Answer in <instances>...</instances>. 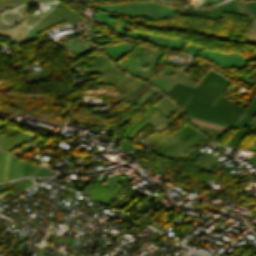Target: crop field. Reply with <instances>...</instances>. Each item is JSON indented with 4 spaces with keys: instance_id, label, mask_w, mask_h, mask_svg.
<instances>
[{
    "instance_id": "obj_1",
    "label": "crop field",
    "mask_w": 256,
    "mask_h": 256,
    "mask_svg": "<svg viewBox=\"0 0 256 256\" xmlns=\"http://www.w3.org/2000/svg\"><path fill=\"white\" fill-rule=\"evenodd\" d=\"M200 82L207 85L219 94H223L229 85L228 81L210 71ZM203 84L198 82L195 87H192L177 82L167 91V94L170 95L175 101H177L182 107L189 99V97L193 95L195 98L211 106L214 105L239 120L245 109L234 104L223 95L217 94ZM193 96H191V98L183 107V110L188 112L193 117L230 126H235L237 123V120L230 117L223 111L217 109L214 106L211 108V106L195 99ZM255 110L256 97L248 109L245 110L242 117L236 124V127L243 128Z\"/></svg>"
},
{
    "instance_id": "obj_2",
    "label": "crop field",
    "mask_w": 256,
    "mask_h": 256,
    "mask_svg": "<svg viewBox=\"0 0 256 256\" xmlns=\"http://www.w3.org/2000/svg\"><path fill=\"white\" fill-rule=\"evenodd\" d=\"M190 129V127L187 125L182 131H180V132H178L175 136H173V137H171L164 145H162L155 153L158 155L159 154V152L164 148V147H166L170 142H172L173 140H175L176 138H178L179 136H181V135H183L187 130H189ZM192 131H194V129H190L188 132H186L183 136H181L180 138H178V139H176L175 141H173L172 143H170L166 148H168L169 146H171L172 144H174L176 141H178V140H181L182 138H184V137H186L189 133H191ZM197 131L195 130L194 132H192L190 135H188L186 138H184V139H182L180 142L181 143H183L184 141H186L189 137H191L192 135H194L195 133H196ZM198 134H200L199 132L198 133H196L194 136H192L191 138H189L186 142H184L183 144H181V146L183 147L184 145H186L188 142H190L195 136H197ZM201 135V134H200ZM200 135H198L197 137H195L191 142H193L195 139H197ZM203 137V135L201 136V137H199L197 140H195L193 143H189V144H187V145H189V146H185V147H180V148H182V149H184V150H182V149H180L179 147H177V146H179L180 144H178L177 146H175L174 148H176V149H174V148H172L171 150H173L170 154H169V152L171 151V150H169L168 151V153L166 154V156H167V158H170L171 157V155H172V153L174 152V151H176V150H178V149H180V150H178V151H176V152H174L173 153V155H172V157L173 156H175L178 152H180L181 150V152L180 153H178L175 157H173V159H175L178 155H180L181 153H183L185 150H187L190 146H192L194 143H196L198 140H200L201 138ZM199 142V141H198ZM166 148H164L161 152H160V154H159V156L162 154V152L163 151H165V149ZM165 156V155H164ZM165 156V157H166ZM171 157V158H172Z\"/></svg>"
},
{
    "instance_id": "obj_3",
    "label": "crop field",
    "mask_w": 256,
    "mask_h": 256,
    "mask_svg": "<svg viewBox=\"0 0 256 256\" xmlns=\"http://www.w3.org/2000/svg\"><path fill=\"white\" fill-rule=\"evenodd\" d=\"M221 10L240 12V10L237 8V6L234 4V2L232 0L222 6H219V7L210 9V10L184 9V10H181L180 13L195 14V15H199V16H209L210 15V17H217L220 15Z\"/></svg>"
},
{
    "instance_id": "obj_4",
    "label": "crop field",
    "mask_w": 256,
    "mask_h": 256,
    "mask_svg": "<svg viewBox=\"0 0 256 256\" xmlns=\"http://www.w3.org/2000/svg\"><path fill=\"white\" fill-rule=\"evenodd\" d=\"M115 69L109 71V72H106V73H103L102 77H100L98 80H100L101 78H103L104 76L108 75L109 73H111L112 71H114ZM116 71H114L113 73L109 74L108 76H106L105 78L101 79L100 81L98 82H102L104 81L105 79H107L109 76H111L112 74H114ZM123 75L118 71L117 73H115L114 75H112L110 78H108L107 80H105L104 82H102L103 84H115ZM127 77V75H124L115 85L114 87L116 88L125 78ZM132 77L128 76L118 87L117 89H121ZM134 80V78H132L120 91L122 92L132 81Z\"/></svg>"
},
{
    "instance_id": "obj_5",
    "label": "crop field",
    "mask_w": 256,
    "mask_h": 256,
    "mask_svg": "<svg viewBox=\"0 0 256 256\" xmlns=\"http://www.w3.org/2000/svg\"><path fill=\"white\" fill-rule=\"evenodd\" d=\"M13 158H14V157L11 156V157H10V161H9L8 181L11 180V167H12V163H13ZM15 165H16V162L13 163V167H12V179L15 178ZM19 165H20V160H18L17 165H16V178L18 177ZM25 165H26V163H25ZM23 166H24V162L21 161L19 177L22 176V173H23ZM30 166H31V165L27 164L25 175L28 174V171H29V169H30ZM31 167H32V166H31ZM24 172H25V166H24ZM29 172H30V171H29ZM23 176H24V174H23Z\"/></svg>"
},
{
    "instance_id": "obj_6",
    "label": "crop field",
    "mask_w": 256,
    "mask_h": 256,
    "mask_svg": "<svg viewBox=\"0 0 256 256\" xmlns=\"http://www.w3.org/2000/svg\"><path fill=\"white\" fill-rule=\"evenodd\" d=\"M173 105V104L169 99H167L165 96L157 103L155 104L153 107H155L157 110H159L161 113H165L166 111H168ZM176 106V105H175ZM173 106L167 113H165L164 115H168L171 110L175 107Z\"/></svg>"
},
{
    "instance_id": "obj_7",
    "label": "crop field",
    "mask_w": 256,
    "mask_h": 256,
    "mask_svg": "<svg viewBox=\"0 0 256 256\" xmlns=\"http://www.w3.org/2000/svg\"><path fill=\"white\" fill-rule=\"evenodd\" d=\"M192 125H194L196 128H198L201 132L203 131L205 134H207L212 139L218 140L220 138V136L223 134V131L207 128V127L196 125V124H192Z\"/></svg>"
},
{
    "instance_id": "obj_8",
    "label": "crop field",
    "mask_w": 256,
    "mask_h": 256,
    "mask_svg": "<svg viewBox=\"0 0 256 256\" xmlns=\"http://www.w3.org/2000/svg\"><path fill=\"white\" fill-rule=\"evenodd\" d=\"M236 4L238 5L241 12H243L247 15H251V16L256 17V15H255L256 14V2L250 3V5H251L252 9L254 10L255 14H254L253 10L251 9V7L248 3L240 4V3L236 2Z\"/></svg>"
},
{
    "instance_id": "obj_9",
    "label": "crop field",
    "mask_w": 256,
    "mask_h": 256,
    "mask_svg": "<svg viewBox=\"0 0 256 256\" xmlns=\"http://www.w3.org/2000/svg\"><path fill=\"white\" fill-rule=\"evenodd\" d=\"M139 46L140 45H137L126 57H128L131 53H133ZM143 48L144 46H140L125 62H123L125 59H121L120 61H118L116 63L117 66L123 62L119 66L121 69H123Z\"/></svg>"
},
{
    "instance_id": "obj_10",
    "label": "crop field",
    "mask_w": 256,
    "mask_h": 256,
    "mask_svg": "<svg viewBox=\"0 0 256 256\" xmlns=\"http://www.w3.org/2000/svg\"><path fill=\"white\" fill-rule=\"evenodd\" d=\"M162 55V52L158 51L157 55L155 56L154 60L152 61L151 65L149 66L148 70L145 71V73L142 75V78L148 80L150 75L152 74V70L155 67V65L158 63L160 57Z\"/></svg>"
},
{
    "instance_id": "obj_11",
    "label": "crop field",
    "mask_w": 256,
    "mask_h": 256,
    "mask_svg": "<svg viewBox=\"0 0 256 256\" xmlns=\"http://www.w3.org/2000/svg\"><path fill=\"white\" fill-rule=\"evenodd\" d=\"M247 131L239 129L238 132L229 140L227 145L235 147L237 143L244 137Z\"/></svg>"
},
{
    "instance_id": "obj_12",
    "label": "crop field",
    "mask_w": 256,
    "mask_h": 256,
    "mask_svg": "<svg viewBox=\"0 0 256 256\" xmlns=\"http://www.w3.org/2000/svg\"><path fill=\"white\" fill-rule=\"evenodd\" d=\"M36 168H38L39 170L35 171ZM44 170H46L47 172H44ZM50 173L51 171L34 165L29 176H49Z\"/></svg>"
},
{
    "instance_id": "obj_13",
    "label": "crop field",
    "mask_w": 256,
    "mask_h": 256,
    "mask_svg": "<svg viewBox=\"0 0 256 256\" xmlns=\"http://www.w3.org/2000/svg\"><path fill=\"white\" fill-rule=\"evenodd\" d=\"M119 189H120V187H119ZM119 189H118V190H119ZM121 189H122V188H121ZM121 189H120V190H121ZM118 190H117V191H118ZM120 190H119V191H120ZM112 191H113V189H108V190H107L103 195H101L96 201L101 202V201L104 200L105 197H106L109 193H111ZM114 191H115V190H114ZM114 191H113V192H114ZM117 191H115V193H116ZM119 191H118V192H119ZM113 192H112V193H113ZM118 192H117V193H118ZM112 193H111V194H112ZM115 193H114V194H115ZM117 193H116V194H117ZM111 194H110V195H111ZM114 194H112L111 196L108 195V196L106 197V199H107L109 196H110V197H109L107 200L105 199V200H106V201L104 200L105 202L102 201V203L104 202V204H105ZM116 194H115V195H116ZM115 195H114V196H115Z\"/></svg>"
},
{
    "instance_id": "obj_14",
    "label": "crop field",
    "mask_w": 256,
    "mask_h": 256,
    "mask_svg": "<svg viewBox=\"0 0 256 256\" xmlns=\"http://www.w3.org/2000/svg\"><path fill=\"white\" fill-rule=\"evenodd\" d=\"M107 190V188L103 187L100 185V187L95 190L93 193H91L90 195H88L90 198L96 200L101 194H103L105 191Z\"/></svg>"
},
{
    "instance_id": "obj_15",
    "label": "crop field",
    "mask_w": 256,
    "mask_h": 256,
    "mask_svg": "<svg viewBox=\"0 0 256 256\" xmlns=\"http://www.w3.org/2000/svg\"><path fill=\"white\" fill-rule=\"evenodd\" d=\"M10 155L6 153L5 157V164H4V173H3V178L2 181L5 182L7 181V172H8V161H9Z\"/></svg>"
},
{
    "instance_id": "obj_16",
    "label": "crop field",
    "mask_w": 256,
    "mask_h": 256,
    "mask_svg": "<svg viewBox=\"0 0 256 256\" xmlns=\"http://www.w3.org/2000/svg\"><path fill=\"white\" fill-rule=\"evenodd\" d=\"M148 88V86H146L145 84L141 83V85L138 87V89L136 90V92L130 96L129 98L134 97L135 95H140L144 90H146ZM135 96V98H136Z\"/></svg>"
},
{
    "instance_id": "obj_17",
    "label": "crop field",
    "mask_w": 256,
    "mask_h": 256,
    "mask_svg": "<svg viewBox=\"0 0 256 256\" xmlns=\"http://www.w3.org/2000/svg\"><path fill=\"white\" fill-rule=\"evenodd\" d=\"M25 135H26V134H25ZM23 136H24V135H23ZM23 136H21V137H23ZM21 137H20V138H21ZM28 137H29V136H27V137H25V138H23V139H21V140H18V139H20V138H18V139H17L18 141L15 140L16 142L13 141V142H15V143L11 142V143H13L12 145H10L11 143H9L8 145H10V146L7 145L8 147H7V146H5V147H7L6 149L11 150L12 148H14V147H16V146L21 145L22 143L19 144V145H16V144L19 143V142H21V141H23L24 139H26V138H28ZM26 140H27V139H26ZM5 147H4V148H5Z\"/></svg>"
},
{
    "instance_id": "obj_18",
    "label": "crop field",
    "mask_w": 256,
    "mask_h": 256,
    "mask_svg": "<svg viewBox=\"0 0 256 256\" xmlns=\"http://www.w3.org/2000/svg\"><path fill=\"white\" fill-rule=\"evenodd\" d=\"M247 40L256 41V20H255L254 27Z\"/></svg>"
},
{
    "instance_id": "obj_19",
    "label": "crop field",
    "mask_w": 256,
    "mask_h": 256,
    "mask_svg": "<svg viewBox=\"0 0 256 256\" xmlns=\"http://www.w3.org/2000/svg\"><path fill=\"white\" fill-rule=\"evenodd\" d=\"M184 127H185V125H184L181 129H183ZM181 129H180V130H181ZM180 130H178V131H180ZM178 131H177V132H178ZM177 132H175V133H177ZM175 133H174V134H175ZM171 136H172V135H171ZM171 136H170V137H171ZM162 137H164V135L161 134L159 137H157V138H156L155 140H153V141H156V142H157V141L160 140ZM165 138H167V137H164L163 139H161V140H160L159 142H157V143L155 142L156 145H157L158 143H160L162 140H164ZM168 138H169V137H168ZM168 138H167V139H168ZM167 139H165V140H167ZM165 140H164V141H165ZM164 141H163V142H164ZM151 142H152V141H151ZM151 142H150V143H151ZM163 142H161V143H163ZM161 143H160V144H161ZM160 144H159V145H160ZM147 145H148V144H147ZM159 145H157V146H159ZM157 146H156V147H157Z\"/></svg>"
},
{
    "instance_id": "obj_20",
    "label": "crop field",
    "mask_w": 256,
    "mask_h": 256,
    "mask_svg": "<svg viewBox=\"0 0 256 256\" xmlns=\"http://www.w3.org/2000/svg\"><path fill=\"white\" fill-rule=\"evenodd\" d=\"M23 186L24 188L33 185V183L31 182L30 179H22V180H18Z\"/></svg>"
},
{
    "instance_id": "obj_21",
    "label": "crop field",
    "mask_w": 256,
    "mask_h": 256,
    "mask_svg": "<svg viewBox=\"0 0 256 256\" xmlns=\"http://www.w3.org/2000/svg\"><path fill=\"white\" fill-rule=\"evenodd\" d=\"M104 61H106V59L102 56V57L96 59L95 61L89 63V65L93 66L95 64H99V63L104 62Z\"/></svg>"
},
{
    "instance_id": "obj_22",
    "label": "crop field",
    "mask_w": 256,
    "mask_h": 256,
    "mask_svg": "<svg viewBox=\"0 0 256 256\" xmlns=\"http://www.w3.org/2000/svg\"><path fill=\"white\" fill-rule=\"evenodd\" d=\"M211 155H207V156H205L203 159H201L197 164H195L194 166L195 167H200V165L203 163V162H205L209 157H210Z\"/></svg>"
},
{
    "instance_id": "obj_23",
    "label": "crop field",
    "mask_w": 256,
    "mask_h": 256,
    "mask_svg": "<svg viewBox=\"0 0 256 256\" xmlns=\"http://www.w3.org/2000/svg\"><path fill=\"white\" fill-rule=\"evenodd\" d=\"M247 149L256 151V139L250 144Z\"/></svg>"
},
{
    "instance_id": "obj_24",
    "label": "crop field",
    "mask_w": 256,
    "mask_h": 256,
    "mask_svg": "<svg viewBox=\"0 0 256 256\" xmlns=\"http://www.w3.org/2000/svg\"><path fill=\"white\" fill-rule=\"evenodd\" d=\"M0 155H1V153H0ZM4 157H5V152H3V159H2V155H1L2 165H1V173H0V182H2V181H1V177H2V171H3V161H4ZM0 164H1V161H0Z\"/></svg>"
},
{
    "instance_id": "obj_25",
    "label": "crop field",
    "mask_w": 256,
    "mask_h": 256,
    "mask_svg": "<svg viewBox=\"0 0 256 256\" xmlns=\"http://www.w3.org/2000/svg\"><path fill=\"white\" fill-rule=\"evenodd\" d=\"M225 150H226V149L221 150V151H220L219 153H217L216 155L222 153V152L225 151ZM216 155H215V156H216ZM215 156L209 158L205 163H203V164L201 165V168H203V167L206 165V163L209 162L210 160H212Z\"/></svg>"
},
{
    "instance_id": "obj_26",
    "label": "crop field",
    "mask_w": 256,
    "mask_h": 256,
    "mask_svg": "<svg viewBox=\"0 0 256 256\" xmlns=\"http://www.w3.org/2000/svg\"><path fill=\"white\" fill-rule=\"evenodd\" d=\"M148 119H143L134 129H132L130 136L133 134V132L135 131L136 128H138L140 125H142L145 121H147ZM129 135V134H128Z\"/></svg>"
},
{
    "instance_id": "obj_27",
    "label": "crop field",
    "mask_w": 256,
    "mask_h": 256,
    "mask_svg": "<svg viewBox=\"0 0 256 256\" xmlns=\"http://www.w3.org/2000/svg\"><path fill=\"white\" fill-rule=\"evenodd\" d=\"M248 160H250L253 163V165L256 166V152H254L253 157L248 158Z\"/></svg>"
},
{
    "instance_id": "obj_28",
    "label": "crop field",
    "mask_w": 256,
    "mask_h": 256,
    "mask_svg": "<svg viewBox=\"0 0 256 256\" xmlns=\"http://www.w3.org/2000/svg\"><path fill=\"white\" fill-rule=\"evenodd\" d=\"M156 92H157V90L153 94H155ZM153 94H151L149 97H147L137 108H139L142 104H144L147 101V99L150 98Z\"/></svg>"
},
{
    "instance_id": "obj_29",
    "label": "crop field",
    "mask_w": 256,
    "mask_h": 256,
    "mask_svg": "<svg viewBox=\"0 0 256 256\" xmlns=\"http://www.w3.org/2000/svg\"><path fill=\"white\" fill-rule=\"evenodd\" d=\"M154 134H155V133H154ZM157 135H158L157 133H156L155 135H153V136L151 135L152 137L150 136L151 138L149 137L150 139L147 138V139H149V140L146 139L147 141H146V140H145V141L148 143V142H150V141H151L155 136H157ZM143 142H144V141H143ZM147 143H146V144H147ZM146 144H145V145H146Z\"/></svg>"
},
{
    "instance_id": "obj_30",
    "label": "crop field",
    "mask_w": 256,
    "mask_h": 256,
    "mask_svg": "<svg viewBox=\"0 0 256 256\" xmlns=\"http://www.w3.org/2000/svg\"><path fill=\"white\" fill-rule=\"evenodd\" d=\"M151 110H152V109H151ZM151 110H149V111L144 115V117H145ZM144 117H143V118H144ZM140 119H141V118H140ZM140 119H139V120H140ZM139 120H138V121H139ZM138 121H137V122H138ZM135 123H136V122H135ZM135 123H134V124H135ZM134 124H133V125H134ZM133 125H132V126H133ZM136 125H137V123H136L133 127H135ZM132 126H131V127H132ZM131 127H130V128H131ZM133 127H132V128H133ZM130 128H129V129H130ZM132 128H131V129H132ZM131 129H130V131H131Z\"/></svg>"
},
{
    "instance_id": "obj_31",
    "label": "crop field",
    "mask_w": 256,
    "mask_h": 256,
    "mask_svg": "<svg viewBox=\"0 0 256 256\" xmlns=\"http://www.w3.org/2000/svg\"><path fill=\"white\" fill-rule=\"evenodd\" d=\"M154 91H155V89H153L149 94L153 93ZM147 96H148V94L140 101V103H141ZM138 105H139V104H138ZM138 105H137V106H138ZM137 106H136V107H137ZM133 109H134V108H133ZM133 109H132V110H133Z\"/></svg>"
},
{
    "instance_id": "obj_32",
    "label": "crop field",
    "mask_w": 256,
    "mask_h": 256,
    "mask_svg": "<svg viewBox=\"0 0 256 256\" xmlns=\"http://www.w3.org/2000/svg\"><path fill=\"white\" fill-rule=\"evenodd\" d=\"M16 139V137L15 138H13V139H11L10 141H8L7 143H9V142H11V141H13V140H15ZM7 143H5L3 146H2V148L7 144Z\"/></svg>"
},
{
    "instance_id": "obj_33",
    "label": "crop field",
    "mask_w": 256,
    "mask_h": 256,
    "mask_svg": "<svg viewBox=\"0 0 256 256\" xmlns=\"http://www.w3.org/2000/svg\"><path fill=\"white\" fill-rule=\"evenodd\" d=\"M152 90V88H150L141 98H140V100L149 92V91H151Z\"/></svg>"
},
{
    "instance_id": "obj_34",
    "label": "crop field",
    "mask_w": 256,
    "mask_h": 256,
    "mask_svg": "<svg viewBox=\"0 0 256 256\" xmlns=\"http://www.w3.org/2000/svg\"><path fill=\"white\" fill-rule=\"evenodd\" d=\"M95 183H96V182H95ZM95 183H94V184H95ZM96 185H97V184H96ZM98 185H99V184H98ZM91 186H92V185H91ZM91 186H90V187H91ZM90 187H89V188H90ZM98 187H99V186H98ZM98 187H96V188H98ZM94 188H95V187H94ZM94 188H93V189H94ZM96 188H95V189H96ZM87 189H88V188H87ZM93 189H92V190H93ZM95 189H94V190H95ZM92 190H90V191H92ZM94 190H93V191H94ZM86 191H87V190H86ZM90 191H89V192H90ZM83 192H84V191H83ZM83 192H82V193H83ZM90 193H91V192H90Z\"/></svg>"
},
{
    "instance_id": "obj_35",
    "label": "crop field",
    "mask_w": 256,
    "mask_h": 256,
    "mask_svg": "<svg viewBox=\"0 0 256 256\" xmlns=\"http://www.w3.org/2000/svg\"><path fill=\"white\" fill-rule=\"evenodd\" d=\"M14 130H15V129H14ZM14 130H12L11 132H13ZM11 132H9V133H11ZM9 133H7V134H9ZM7 134H5V135H7ZM5 135L1 136L0 139H1L2 137H4Z\"/></svg>"
},
{
    "instance_id": "obj_36",
    "label": "crop field",
    "mask_w": 256,
    "mask_h": 256,
    "mask_svg": "<svg viewBox=\"0 0 256 256\" xmlns=\"http://www.w3.org/2000/svg\"><path fill=\"white\" fill-rule=\"evenodd\" d=\"M17 131H19V130H17ZM17 131H15V132H17ZM15 132H13V133H15ZM13 133H11V134H13ZM11 134H9V135H11ZM9 135H8V136H9ZM6 137H7V136H6ZM6 137H4V138H6ZM4 138H2V139H4ZM2 139H1V140H2ZM1 140H0V141H1Z\"/></svg>"
},
{
    "instance_id": "obj_37",
    "label": "crop field",
    "mask_w": 256,
    "mask_h": 256,
    "mask_svg": "<svg viewBox=\"0 0 256 256\" xmlns=\"http://www.w3.org/2000/svg\"><path fill=\"white\" fill-rule=\"evenodd\" d=\"M102 54H99V55H97L96 57H94L93 59H96V58H98V57H100Z\"/></svg>"
},
{
    "instance_id": "obj_38",
    "label": "crop field",
    "mask_w": 256,
    "mask_h": 256,
    "mask_svg": "<svg viewBox=\"0 0 256 256\" xmlns=\"http://www.w3.org/2000/svg\"><path fill=\"white\" fill-rule=\"evenodd\" d=\"M106 63H109V61H107V62H104V63H102V64H99V65L101 66V65H103V64H106Z\"/></svg>"
},
{
    "instance_id": "obj_39",
    "label": "crop field",
    "mask_w": 256,
    "mask_h": 256,
    "mask_svg": "<svg viewBox=\"0 0 256 256\" xmlns=\"http://www.w3.org/2000/svg\"><path fill=\"white\" fill-rule=\"evenodd\" d=\"M126 120H128V118H127ZM126 120H125V121H126ZM123 122H124V121H123ZM123 122H122V123H123ZM124 123H125V122H124ZM124 123H123V124H124Z\"/></svg>"
},
{
    "instance_id": "obj_40",
    "label": "crop field",
    "mask_w": 256,
    "mask_h": 256,
    "mask_svg": "<svg viewBox=\"0 0 256 256\" xmlns=\"http://www.w3.org/2000/svg\"><path fill=\"white\" fill-rule=\"evenodd\" d=\"M112 69V68H111ZM107 70H109V69H107ZM106 71V70H105ZM101 72H103V71H101ZM98 73H100V72H98Z\"/></svg>"
},
{
    "instance_id": "obj_41",
    "label": "crop field",
    "mask_w": 256,
    "mask_h": 256,
    "mask_svg": "<svg viewBox=\"0 0 256 256\" xmlns=\"http://www.w3.org/2000/svg\"><path fill=\"white\" fill-rule=\"evenodd\" d=\"M109 65H111V64H109ZM109 65H107V66H109ZM103 67V66H102ZM106 67V66H105ZM93 71V70H92Z\"/></svg>"
},
{
    "instance_id": "obj_42",
    "label": "crop field",
    "mask_w": 256,
    "mask_h": 256,
    "mask_svg": "<svg viewBox=\"0 0 256 256\" xmlns=\"http://www.w3.org/2000/svg\"><path fill=\"white\" fill-rule=\"evenodd\" d=\"M254 212H255V211H254ZM254 212H253V213H254Z\"/></svg>"
},
{
    "instance_id": "obj_43",
    "label": "crop field",
    "mask_w": 256,
    "mask_h": 256,
    "mask_svg": "<svg viewBox=\"0 0 256 256\" xmlns=\"http://www.w3.org/2000/svg\"><path fill=\"white\" fill-rule=\"evenodd\" d=\"M69 256V255H68Z\"/></svg>"
},
{
    "instance_id": "obj_44",
    "label": "crop field",
    "mask_w": 256,
    "mask_h": 256,
    "mask_svg": "<svg viewBox=\"0 0 256 256\" xmlns=\"http://www.w3.org/2000/svg\"><path fill=\"white\" fill-rule=\"evenodd\" d=\"M1 136V135H0Z\"/></svg>"
},
{
    "instance_id": "obj_45",
    "label": "crop field",
    "mask_w": 256,
    "mask_h": 256,
    "mask_svg": "<svg viewBox=\"0 0 256 256\" xmlns=\"http://www.w3.org/2000/svg\"><path fill=\"white\" fill-rule=\"evenodd\" d=\"M108 68V67H107Z\"/></svg>"
}]
</instances>
